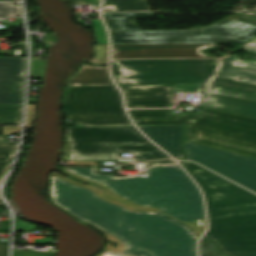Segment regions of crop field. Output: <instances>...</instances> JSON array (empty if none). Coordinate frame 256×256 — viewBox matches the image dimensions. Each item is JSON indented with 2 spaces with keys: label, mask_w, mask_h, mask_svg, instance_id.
Wrapping results in <instances>:
<instances>
[{
  "label": "crop field",
  "mask_w": 256,
  "mask_h": 256,
  "mask_svg": "<svg viewBox=\"0 0 256 256\" xmlns=\"http://www.w3.org/2000/svg\"><path fill=\"white\" fill-rule=\"evenodd\" d=\"M51 200L60 208L123 243L104 256H196L193 231L161 213H135L99 199L57 177L50 180Z\"/></svg>",
  "instance_id": "crop-field-1"
},
{
  "label": "crop field",
  "mask_w": 256,
  "mask_h": 256,
  "mask_svg": "<svg viewBox=\"0 0 256 256\" xmlns=\"http://www.w3.org/2000/svg\"><path fill=\"white\" fill-rule=\"evenodd\" d=\"M182 167L202 188L209 232L203 237L228 256H256V195L190 162Z\"/></svg>",
  "instance_id": "crop-field-2"
},
{
  "label": "crop field",
  "mask_w": 256,
  "mask_h": 256,
  "mask_svg": "<svg viewBox=\"0 0 256 256\" xmlns=\"http://www.w3.org/2000/svg\"><path fill=\"white\" fill-rule=\"evenodd\" d=\"M67 170L105 185L134 204L156 207L182 222L205 219L202 198L197 187L177 165L148 169L147 178L96 174L95 168Z\"/></svg>",
  "instance_id": "crop-field-3"
},
{
  "label": "crop field",
  "mask_w": 256,
  "mask_h": 256,
  "mask_svg": "<svg viewBox=\"0 0 256 256\" xmlns=\"http://www.w3.org/2000/svg\"><path fill=\"white\" fill-rule=\"evenodd\" d=\"M129 112L136 125L187 124V141L256 159V119L204 107L197 116L172 115V110Z\"/></svg>",
  "instance_id": "crop-field-4"
},
{
  "label": "crop field",
  "mask_w": 256,
  "mask_h": 256,
  "mask_svg": "<svg viewBox=\"0 0 256 256\" xmlns=\"http://www.w3.org/2000/svg\"><path fill=\"white\" fill-rule=\"evenodd\" d=\"M155 13L103 14L111 29L112 44L135 43H232L245 42L256 36V22L234 14L202 28L181 31H141L134 17L155 16Z\"/></svg>",
  "instance_id": "crop-field-5"
},
{
  "label": "crop field",
  "mask_w": 256,
  "mask_h": 256,
  "mask_svg": "<svg viewBox=\"0 0 256 256\" xmlns=\"http://www.w3.org/2000/svg\"><path fill=\"white\" fill-rule=\"evenodd\" d=\"M244 47L256 53V43ZM201 105L256 118V62L231 58L221 61L211 83L206 84Z\"/></svg>",
  "instance_id": "crop-field-6"
},
{
  "label": "crop field",
  "mask_w": 256,
  "mask_h": 256,
  "mask_svg": "<svg viewBox=\"0 0 256 256\" xmlns=\"http://www.w3.org/2000/svg\"><path fill=\"white\" fill-rule=\"evenodd\" d=\"M70 160L115 159L120 152H132L137 160L166 157L134 127L66 128Z\"/></svg>",
  "instance_id": "crop-field-7"
},
{
  "label": "crop field",
  "mask_w": 256,
  "mask_h": 256,
  "mask_svg": "<svg viewBox=\"0 0 256 256\" xmlns=\"http://www.w3.org/2000/svg\"><path fill=\"white\" fill-rule=\"evenodd\" d=\"M220 60L218 59H165V60H112L122 76V84L209 83Z\"/></svg>",
  "instance_id": "crop-field-8"
},
{
  "label": "crop field",
  "mask_w": 256,
  "mask_h": 256,
  "mask_svg": "<svg viewBox=\"0 0 256 256\" xmlns=\"http://www.w3.org/2000/svg\"><path fill=\"white\" fill-rule=\"evenodd\" d=\"M64 111L83 125L131 124L115 86L68 87Z\"/></svg>",
  "instance_id": "crop-field-9"
},
{
  "label": "crop field",
  "mask_w": 256,
  "mask_h": 256,
  "mask_svg": "<svg viewBox=\"0 0 256 256\" xmlns=\"http://www.w3.org/2000/svg\"><path fill=\"white\" fill-rule=\"evenodd\" d=\"M186 160L197 162L256 192V160L185 141Z\"/></svg>",
  "instance_id": "crop-field-10"
},
{
  "label": "crop field",
  "mask_w": 256,
  "mask_h": 256,
  "mask_svg": "<svg viewBox=\"0 0 256 256\" xmlns=\"http://www.w3.org/2000/svg\"><path fill=\"white\" fill-rule=\"evenodd\" d=\"M211 46L215 44L113 45V59L214 57L199 53L201 48Z\"/></svg>",
  "instance_id": "crop-field-11"
},
{
  "label": "crop field",
  "mask_w": 256,
  "mask_h": 256,
  "mask_svg": "<svg viewBox=\"0 0 256 256\" xmlns=\"http://www.w3.org/2000/svg\"><path fill=\"white\" fill-rule=\"evenodd\" d=\"M25 62L0 57V104H22Z\"/></svg>",
  "instance_id": "crop-field-12"
},
{
  "label": "crop field",
  "mask_w": 256,
  "mask_h": 256,
  "mask_svg": "<svg viewBox=\"0 0 256 256\" xmlns=\"http://www.w3.org/2000/svg\"><path fill=\"white\" fill-rule=\"evenodd\" d=\"M129 108L172 107V86H122Z\"/></svg>",
  "instance_id": "crop-field-13"
},
{
  "label": "crop field",
  "mask_w": 256,
  "mask_h": 256,
  "mask_svg": "<svg viewBox=\"0 0 256 256\" xmlns=\"http://www.w3.org/2000/svg\"><path fill=\"white\" fill-rule=\"evenodd\" d=\"M149 139L181 160L183 126L139 127Z\"/></svg>",
  "instance_id": "crop-field-14"
},
{
  "label": "crop field",
  "mask_w": 256,
  "mask_h": 256,
  "mask_svg": "<svg viewBox=\"0 0 256 256\" xmlns=\"http://www.w3.org/2000/svg\"><path fill=\"white\" fill-rule=\"evenodd\" d=\"M113 85L107 67L82 65L68 81L67 86Z\"/></svg>",
  "instance_id": "crop-field-15"
},
{
  "label": "crop field",
  "mask_w": 256,
  "mask_h": 256,
  "mask_svg": "<svg viewBox=\"0 0 256 256\" xmlns=\"http://www.w3.org/2000/svg\"><path fill=\"white\" fill-rule=\"evenodd\" d=\"M22 118V105H0V124H20Z\"/></svg>",
  "instance_id": "crop-field-16"
},
{
  "label": "crop field",
  "mask_w": 256,
  "mask_h": 256,
  "mask_svg": "<svg viewBox=\"0 0 256 256\" xmlns=\"http://www.w3.org/2000/svg\"><path fill=\"white\" fill-rule=\"evenodd\" d=\"M4 137L0 136V183L7 172L11 159L16 152L18 144H3Z\"/></svg>",
  "instance_id": "crop-field-17"
},
{
  "label": "crop field",
  "mask_w": 256,
  "mask_h": 256,
  "mask_svg": "<svg viewBox=\"0 0 256 256\" xmlns=\"http://www.w3.org/2000/svg\"><path fill=\"white\" fill-rule=\"evenodd\" d=\"M146 0H105L103 5H116L117 11H147Z\"/></svg>",
  "instance_id": "crop-field-18"
},
{
  "label": "crop field",
  "mask_w": 256,
  "mask_h": 256,
  "mask_svg": "<svg viewBox=\"0 0 256 256\" xmlns=\"http://www.w3.org/2000/svg\"><path fill=\"white\" fill-rule=\"evenodd\" d=\"M53 176H57V177H59V178L65 180V181H67V182H69V183H71V184H74V185H76V186L86 188V189H88V190L94 192L98 197L102 198L103 200H105V201H107V202H110V203H112V204H115V205L122 206V207H124V208H126V209H129V210H131V211H136V212H153V211H158V210H156V209H140V210H137V209L131 208V207L127 206V205H124V204H122V203H119V202H117V201H114V200H111V199L106 198V197L102 194V190H99V189H97V188H94V187L88 186V185L77 184V183H75V182H72V181L68 180L67 178H65L64 176H62V175H60V174H58V173H56V172H53V173H52V176H51V177H53Z\"/></svg>",
  "instance_id": "crop-field-19"
},
{
  "label": "crop field",
  "mask_w": 256,
  "mask_h": 256,
  "mask_svg": "<svg viewBox=\"0 0 256 256\" xmlns=\"http://www.w3.org/2000/svg\"><path fill=\"white\" fill-rule=\"evenodd\" d=\"M18 16H21L20 6H14L12 3H0V17Z\"/></svg>",
  "instance_id": "crop-field-20"
},
{
  "label": "crop field",
  "mask_w": 256,
  "mask_h": 256,
  "mask_svg": "<svg viewBox=\"0 0 256 256\" xmlns=\"http://www.w3.org/2000/svg\"><path fill=\"white\" fill-rule=\"evenodd\" d=\"M65 169H66V168H62V170H63L65 173H67V174H69V175H71V176H73V177H75V178H77V179H81V180H83V181H88V182H90V183H92V184H94V185H96V186H98V187H100V188H104V189H105L104 193L106 194V196L111 197V198H114V199H117V200H120V201H123V202H125V203H127V204H129V205H131V206H133V207H135V208H142V206L134 205V204H132V203H130V202H128V201L122 199L121 197L117 196V195L114 194L112 191H110L108 188H106V187H104V186H102V185H100V184H98V183H96V182L89 181V180L83 179V178H81V177H78V176H76V175H74V174H71V173H69L68 171H66Z\"/></svg>",
  "instance_id": "crop-field-21"
},
{
  "label": "crop field",
  "mask_w": 256,
  "mask_h": 256,
  "mask_svg": "<svg viewBox=\"0 0 256 256\" xmlns=\"http://www.w3.org/2000/svg\"><path fill=\"white\" fill-rule=\"evenodd\" d=\"M200 256H221L218 255L212 245V243L200 239Z\"/></svg>",
  "instance_id": "crop-field-22"
},
{
  "label": "crop field",
  "mask_w": 256,
  "mask_h": 256,
  "mask_svg": "<svg viewBox=\"0 0 256 256\" xmlns=\"http://www.w3.org/2000/svg\"><path fill=\"white\" fill-rule=\"evenodd\" d=\"M96 55L93 59H97L98 63H105L108 59V45H95Z\"/></svg>",
  "instance_id": "crop-field-23"
},
{
  "label": "crop field",
  "mask_w": 256,
  "mask_h": 256,
  "mask_svg": "<svg viewBox=\"0 0 256 256\" xmlns=\"http://www.w3.org/2000/svg\"><path fill=\"white\" fill-rule=\"evenodd\" d=\"M102 232H103V231H102ZM104 233H105V232H104ZM105 234H106V236L109 238V240L118 242V244H117L118 249H114V248L112 247L111 243H108V244L106 245L105 249H104L99 255H97V256H103L107 250L119 252V251H121V250L123 249L122 244H121L120 241H118L116 238L112 237L111 235H109V234H107V233H105Z\"/></svg>",
  "instance_id": "crop-field-24"
},
{
  "label": "crop field",
  "mask_w": 256,
  "mask_h": 256,
  "mask_svg": "<svg viewBox=\"0 0 256 256\" xmlns=\"http://www.w3.org/2000/svg\"><path fill=\"white\" fill-rule=\"evenodd\" d=\"M54 253L48 252H21L13 251V256H52Z\"/></svg>",
  "instance_id": "crop-field-25"
},
{
  "label": "crop field",
  "mask_w": 256,
  "mask_h": 256,
  "mask_svg": "<svg viewBox=\"0 0 256 256\" xmlns=\"http://www.w3.org/2000/svg\"><path fill=\"white\" fill-rule=\"evenodd\" d=\"M31 75H40V60H32Z\"/></svg>",
  "instance_id": "crop-field-26"
},
{
  "label": "crop field",
  "mask_w": 256,
  "mask_h": 256,
  "mask_svg": "<svg viewBox=\"0 0 256 256\" xmlns=\"http://www.w3.org/2000/svg\"><path fill=\"white\" fill-rule=\"evenodd\" d=\"M202 222H203V226H201V227L197 226L196 221H195V222H192V223H185V224H187V225H189V226L195 228L194 231H195L198 235H200V234L204 231V229H205V220H202Z\"/></svg>",
  "instance_id": "crop-field-27"
},
{
  "label": "crop field",
  "mask_w": 256,
  "mask_h": 256,
  "mask_svg": "<svg viewBox=\"0 0 256 256\" xmlns=\"http://www.w3.org/2000/svg\"><path fill=\"white\" fill-rule=\"evenodd\" d=\"M163 163H175V162L173 160L149 162V163H145L144 168H148L150 166L159 165V164H163Z\"/></svg>",
  "instance_id": "crop-field-28"
},
{
  "label": "crop field",
  "mask_w": 256,
  "mask_h": 256,
  "mask_svg": "<svg viewBox=\"0 0 256 256\" xmlns=\"http://www.w3.org/2000/svg\"><path fill=\"white\" fill-rule=\"evenodd\" d=\"M67 164L95 165L94 161H66Z\"/></svg>",
  "instance_id": "crop-field-29"
},
{
  "label": "crop field",
  "mask_w": 256,
  "mask_h": 256,
  "mask_svg": "<svg viewBox=\"0 0 256 256\" xmlns=\"http://www.w3.org/2000/svg\"><path fill=\"white\" fill-rule=\"evenodd\" d=\"M69 155H70L69 142H68V138L66 136V153L64 156H62V160H68Z\"/></svg>",
  "instance_id": "crop-field-30"
},
{
  "label": "crop field",
  "mask_w": 256,
  "mask_h": 256,
  "mask_svg": "<svg viewBox=\"0 0 256 256\" xmlns=\"http://www.w3.org/2000/svg\"><path fill=\"white\" fill-rule=\"evenodd\" d=\"M8 245L0 244V256H7Z\"/></svg>",
  "instance_id": "crop-field-31"
},
{
  "label": "crop field",
  "mask_w": 256,
  "mask_h": 256,
  "mask_svg": "<svg viewBox=\"0 0 256 256\" xmlns=\"http://www.w3.org/2000/svg\"><path fill=\"white\" fill-rule=\"evenodd\" d=\"M73 5H81L79 0H69Z\"/></svg>",
  "instance_id": "crop-field-32"
},
{
  "label": "crop field",
  "mask_w": 256,
  "mask_h": 256,
  "mask_svg": "<svg viewBox=\"0 0 256 256\" xmlns=\"http://www.w3.org/2000/svg\"><path fill=\"white\" fill-rule=\"evenodd\" d=\"M0 1H19V0H0Z\"/></svg>",
  "instance_id": "crop-field-33"
},
{
  "label": "crop field",
  "mask_w": 256,
  "mask_h": 256,
  "mask_svg": "<svg viewBox=\"0 0 256 256\" xmlns=\"http://www.w3.org/2000/svg\"><path fill=\"white\" fill-rule=\"evenodd\" d=\"M2 215H8V213H0V216H2Z\"/></svg>",
  "instance_id": "crop-field-34"
},
{
  "label": "crop field",
  "mask_w": 256,
  "mask_h": 256,
  "mask_svg": "<svg viewBox=\"0 0 256 256\" xmlns=\"http://www.w3.org/2000/svg\"><path fill=\"white\" fill-rule=\"evenodd\" d=\"M251 42H256V38H255V39H253V40H251Z\"/></svg>",
  "instance_id": "crop-field-35"
}]
</instances>
